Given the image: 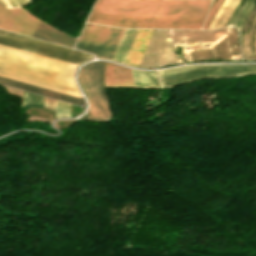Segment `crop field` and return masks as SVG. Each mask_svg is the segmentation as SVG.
<instances>
[{"label":"crop field","mask_w":256,"mask_h":256,"mask_svg":"<svg viewBox=\"0 0 256 256\" xmlns=\"http://www.w3.org/2000/svg\"><path fill=\"white\" fill-rule=\"evenodd\" d=\"M211 0H97L87 21L119 27L200 29Z\"/></svg>","instance_id":"8a807250"},{"label":"crop field","mask_w":256,"mask_h":256,"mask_svg":"<svg viewBox=\"0 0 256 256\" xmlns=\"http://www.w3.org/2000/svg\"><path fill=\"white\" fill-rule=\"evenodd\" d=\"M76 66L0 45V77L81 98L72 78Z\"/></svg>","instance_id":"ac0d7876"},{"label":"crop field","mask_w":256,"mask_h":256,"mask_svg":"<svg viewBox=\"0 0 256 256\" xmlns=\"http://www.w3.org/2000/svg\"><path fill=\"white\" fill-rule=\"evenodd\" d=\"M158 73L161 86L169 87L201 78L229 77L247 73H256V64L182 66L159 70Z\"/></svg>","instance_id":"34b2d1b8"},{"label":"crop field","mask_w":256,"mask_h":256,"mask_svg":"<svg viewBox=\"0 0 256 256\" xmlns=\"http://www.w3.org/2000/svg\"><path fill=\"white\" fill-rule=\"evenodd\" d=\"M0 44L19 48L77 65L85 60L93 59V56L88 54L2 30H0Z\"/></svg>","instance_id":"412701ff"},{"label":"crop field","mask_w":256,"mask_h":256,"mask_svg":"<svg viewBox=\"0 0 256 256\" xmlns=\"http://www.w3.org/2000/svg\"><path fill=\"white\" fill-rule=\"evenodd\" d=\"M125 29L86 23L76 48L97 58L112 59Z\"/></svg>","instance_id":"f4fd0767"},{"label":"crop field","mask_w":256,"mask_h":256,"mask_svg":"<svg viewBox=\"0 0 256 256\" xmlns=\"http://www.w3.org/2000/svg\"><path fill=\"white\" fill-rule=\"evenodd\" d=\"M103 67L104 62H92L83 66L78 73L79 81L89 101L92 119L95 121L110 118L102 86Z\"/></svg>","instance_id":"dd49c442"},{"label":"crop field","mask_w":256,"mask_h":256,"mask_svg":"<svg viewBox=\"0 0 256 256\" xmlns=\"http://www.w3.org/2000/svg\"><path fill=\"white\" fill-rule=\"evenodd\" d=\"M39 21L21 8L4 10L0 7V28L2 29L31 36Z\"/></svg>","instance_id":"e52e79f7"},{"label":"crop field","mask_w":256,"mask_h":256,"mask_svg":"<svg viewBox=\"0 0 256 256\" xmlns=\"http://www.w3.org/2000/svg\"><path fill=\"white\" fill-rule=\"evenodd\" d=\"M105 87H134L130 69L105 63Z\"/></svg>","instance_id":"d8731c3e"},{"label":"crop field","mask_w":256,"mask_h":256,"mask_svg":"<svg viewBox=\"0 0 256 256\" xmlns=\"http://www.w3.org/2000/svg\"><path fill=\"white\" fill-rule=\"evenodd\" d=\"M32 37H36L39 39L47 40L50 42H54L57 44L70 46V47L73 46V44L76 40L75 38H73L67 34H64L60 31H57V30L47 26L46 24H44L41 21H40L39 25L37 26L36 30L34 31V33L32 34Z\"/></svg>","instance_id":"5a996713"},{"label":"crop field","mask_w":256,"mask_h":256,"mask_svg":"<svg viewBox=\"0 0 256 256\" xmlns=\"http://www.w3.org/2000/svg\"><path fill=\"white\" fill-rule=\"evenodd\" d=\"M153 31L154 30H147V29L139 30L137 37L134 41V44L131 48V51L128 55V58L125 62L126 64L132 65V66L139 65Z\"/></svg>","instance_id":"3316defc"},{"label":"crop field","mask_w":256,"mask_h":256,"mask_svg":"<svg viewBox=\"0 0 256 256\" xmlns=\"http://www.w3.org/2000/svg\"><path fill=\"white\" fill-rule=\"evenodd\" d=\"M239 1L240 0H224L215 17L211 21L208 29H218L225 26Z\"/></svg>","instance_id":"28ad6ade"},{"label":"crop field","mask_w":256,"mask_h":256,"mask_svg":"<svg viewBox=\"0 0 256 256\" xmlns=\"http://www.w3.org/2000/svg\"><path fill=\"white\" fill-rule=\"evenodd\" d=\"M138 30L139 29H126L125 30L123 37L121 39V42L116 51V54L113 58L114 60H117V61L123 62V63L125 62Z\"/></svg>","instance_id":"d1516ede"},{"label":"crop field","mask_w":256,"mask_h":256,"mask_svg":"<svg viewBox=\"0 0 256 256\" xmlns=\"http://www.w3.org/2000/svg\"><path fill=\"white\" fill-rule=\"evenodd\" d=\"M132 76L135 87L148 88L158 87L155 71H136L132 70Z\"/></svg>","instance_id":"22f410ed"},{"label":"crop field","mask_w":256,"mask_h":256,"mask_svg":"<svg viewBox=\"0 0 256 256\" xmlns=\"http://www.w3.org/2000/svg\"><path fill=\"white\" fill-rule=\"evenodd\" d=\"M255 27H256V17L252 23V26L248 34H245V33L242 34V52H243L244 59H256V33H255V40H254L255 57L253 55L252 48H251V39H252V35Z\"/></svg>","instance_id":"cbeb9de0"},{"label":"crop field","mask_w":256,"mask_h":256,"mask_svg":"<svg viewBox=\"0 0 256 256\" xmlns=\"http://www.w3.org/2000/svg\"><path fill=\"white\" fill-rule=\"evenodd\" d=\"M246 1H247V0H243V1H242V3L240 4V6L237 8V10L235 11V13L233 14V16H232V18H231V20H230V22H229L228 25L236 26L237 21H238L239 16H240V14H241V12H242V10H243V8H244V5H245ZM255 1H256V0H250V1H249L248 5H247V7H246V9H245V11H244V13H243V16H242V18H241V20H240V22H239V24H238V29H239V30L242 29L243 23H244V21H245L247 15H248V13H249V11H250V9H251L253 3H254ZM254 4H255V3H254Z\"/></svg>","instance_id":"5142ce71"},{"label":"crop field","mask_w":256,"mask_h":256,"mask_svg":"<svg viewBox=\"0 0 256 256\" xmlns=\"http://www.w3.org/2000/svg\"><path fill=\"white\" fill-rule=\"evenodd\" d=\"M70 117V104L56 100V118Z\"/></svg>","instance_id":"d9b57169"},{"label":"crop field","mask_w":256,"mask_h":256,"mask_svg":"<svg viewBox=\"0 0 256 256\" xmlns=\"http://www.w3.org/2000/svg\"><path fill=\"white\" fill-rule=\"evenodd\" d=\"M222 0H215L210 8V11L208 13V16H207V19H206V22L204 24V27L203 29H206L210 20L212 19L213 15L215 14V12L217 11L218 7L220 6Z\"/></svg>","instance_id":"733c2abd"},{"label":"crop field","mask_w":256,"mask_h":256,"mask_svg":"<svg viewBox=\"0 0 256 256\" xmlns=\"http://www.w3.org/2000/svg\"><path fill=\"white\" fill-rule=\"evenodd\" d=\"M10 7H21L23 5L29 4V0H7Z\"/></svg>","instance_id":"4a817a6b"},{"label":"crop field","mask_w":256,"mask_h":256,"mask_svg":"<svg viewBox=\"0 0 256 256\" xmlns=\"http://www.w3.org/2000/svg\"><path fill=\"white\" fill-rule=\"evenodd\" d=\"M44 108L55 111V100L45 97Z\"/></svg>","instance_id":"bc2a9ffb"},{"label":"crop field","mask_w":256,"mask_h":256,"mask_svg":"<svg viewBox=\"0 0 256 256\" xmlns=\"http://www.w3.org/2000/svg\"><path fill=\"white\" fill-rule=\"evenodd\" d=\"M215 50H216V54H217L218 58H227L224 48H218V49H215Z\"/></svg>","instance_id":"214f88e0"},{"label":"crop field","mask_w":256,"mask_h":256,"mask_svg":"<svg viewBox=\"0 0 256 256\" xmlns=\"http://www.w3.org/2000/svg\"><path fill=\"white\" fill-rule=\"evenodd\" d=\"M0 4L3 5L5 8H9L5 0H0Z\"/></svg>","instance_id":"92a150f3"}]
</instances>
